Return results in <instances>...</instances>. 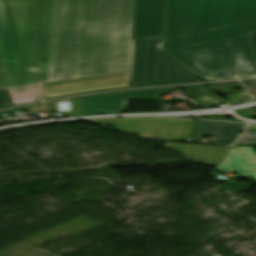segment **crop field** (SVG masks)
<instances>
[{"label": "crop field", "instance_id": "crop-field-7", "mask_svg": "<svg viewBox=\"0 0 256 256\" xmlns=\"http://www.w3.org/2000/svg\"><path fill=\"white\" fill-rule=\"evenodd\" d=\"M246 124L224 123L216 121H198L190 142L201 143L202 136H222L220 145H233Z\"/></svg>", "mask_w": 256, "mask_h": 256}, {"label": "crop field", "instance_id": "crop-field-2", "mask_svg": "<svg viewBox=\"0 0 256 256\" xmlns=\"http://www.w3.org/2000/svg\"><path fill=\"white\" fill-rule=\"evenodd\" d=\"M255 31L256 0H168L164 49L200 78L255 74Z\"/></svg>", "mask_w": 256, "mask_h": 256}, {"label": "crop field", "instance_id": "crop-field-17", "mask_svg": "<svg viewBox=\"0 0 256 256\" xmlns=\"http://www.w3.org/2000/svg\"><path fill=\"white\" fill-rule=\"evenodd\" d=\"M60 102H70V100H68V101H60Z\"/></svg>", "mask_w": 256, "mask_h": 256}, {"label": "crop field", "instance_id": "crop-field-6", "mask_svg": "<svg viewBox=\"0 0 256 256\" xmlns=\"http://www.w3.org/2000/svg\"><path fill=\"white\" fill-rule=\"evenodd\" d=\"M165 0H136L133 39H163Z\"/></svg>", "mask_w": 256, "mask_h": 256}, {"label": "crop field", "instance_id": "crop-field-13", "mask_svg": "<svg viewBox=\"0 0 256 256\" xmlns=\"http://www.w3.org/2000/svg\"><path fill=\"white\" fill-rule=\"evenodd\" d=\"M226 97L228 98L226 101L229 103L252 99L246 92L227 95Z\"/></svg>", "mask_w": 256, "mask_h": 256}, {"label": "crop field", "instance_id": "crop-field-4", "mask_svg": "<svg viewBox=\"0 0 256 256\" xmlns=\"http://www.w3.org/2000/svg\"><path fill=\"white\" fill-rule=\"evenodd\" d=\"M95 124L121 125L120 131L134 133L145 138L188 141L193 120L176 119H114L91 120Z\"/></svg>", "mask_w": 256, "mask_h": 256}, {"label": "crop field", "instance_id": "crop-field-11", "mask_svg": "<svg viewBox=\"0 0 256 256\" xmlns=\"http://www.w3.org/2000/svg\"><path fill=\"white\" fill-rule=\"evenodd\" d=\"M256 144V126L249 125L236 145Z\"/></svg>", "mask_w": 256, "mask_h": 256}, {"label": "crop field", "instance_id": "crop-field-5", "mask_svg": "<svg viewBox=\"0 0 256 256\" xmlns=\"http://www.w3.org/2000/svg\"><path fill=\"white\" fill-rule=\"evenodd\" d=\"M168 90L158 89L77 99L78 116L124 112L127 99L158 100V95Z\"/></svg>", "mask_w": 256, "mask_h": 256}, {"label": "crop field", "instance_id": "crop-field-9", "mask_svg": "<svg viewBox=\"0 0 256 256\" xmlns=\"http://www.w3.org/2000/svg\"><path fill=\"white\" fill-rule=\"evenodd\" d=\"M166 147L184 154L186 157H194V162H201L203 164L217 166L221 157L226 154L229 148L214 147L194 144H174L167 142ZM183 155V156H184Z\"/></svg>", "mask_w": 256, "mask_h": 256}, {"label": "crop field", "instance_id": "crop-field-14", "mask_svg": "<svg viewBox=\"0 0 256 256\" xmlns=\"http://www.w3.org/2000/svg\"><path fill=\"white\" fill-rule=\"evenodd\" d=\"M12 100L8 90H0V107L11 105Z\"/></svg>", "mask_w": 256, "mask_h": 256}, {"label": "crop field", "instance_id": "crop-field-3", "mask_svg": "<svg viewBox=\"0 0 256 256\" xmlns=\"http://www.w3.org/2000/svg\"><path fill=\"white\" fill-rule=\"evenodd\" d=\"M162 42L133 40L130 87L198 81L162 53Z\"/></svg>", "mask_w": 256, "mask_h": 256}, {"label": "crop field", "instance_id": "crop-field-8", "mask_svg": "<svg viewBox=\"0 0 256 256\" xmlns=\"http://www.w3.org/2000/svg\"><path fill=\"white\" fill-rule=\"evenodd\" d=\"M217 170L223 173L253 175L256 178V151L253 147H233Z\"/></svg>", "mask_w": 256, "mask_h": 256}, {"label": "crop field", "instance_id": "crop-field-16", "mask_svg": "<svg viewBox=\"0 0 256 256\" xmlns=\"http://www.w3.org/2000/svg\"><path fill=\"white\" fill-rule=\"evenodd\" d=\"M251 38H252V42L255 48V52H256V32L255 33H251Z\"/></svg>", "mask_w": 256, "mask_h": 256}, {"label": "crop field", "instance_id": "crop-field-18", "mask_svg": "<svg viewBox=\"0 0 256 256\" xmlns=\"http://www.w3.org/2000/svg\"><path fill=\"white\" fill-rule=\"evenodd\" d=\"M188 72V71H187Z\"/></svg>", "mask_w": 256, "mask_h": 256}, {"label": "crop field", "instance_id": "crop-field-12", "mask_svg": "<svg viewBox=\"0 0 256 256\" xmlns=\"http://www.w3.org/2000/svg\"><path fill=\"white\" fill-rule=\"evenodd\" d=\"M237 77L250 78V77H256V75H244V74H240L237 70H233V71H231L230 73H228L226 75L204 78V79H207V80H226V79H234V78H237Z\"/></svg>", "mask_w": 256, "mask_h": 256}, {"label": "crop field", "instance_id": "crop-field-15", "mask_svg": "<svg viewBox=\"0 0 256 256\" xmlns=\"http://www.w3.org/2000/svg\"><path fill=\"white\" fill-rule=\"evenodd\" d=\"M254 111H256V108L240 110L239 112H241L245 118H250V117H256V113Z\"/></svg>", "mask_w": 256, "mask_h": 256}, {"label": "crop field", "instance_id": "crop-field-1", "mask_svg": "<svg viewBox=\"0 0 256 256\" xmlns=\"http://www.w3.org/2000/svg\"><path fill=\"white\" fill-rule=\"evenodd\" d=\"M135 0H0V89L130 69Z\"/></svg>", "mask_w": 256, "mask_h": 256}, {"label": "crop field", "instance_id": "crop-field-10", "mask_svg": "<svg viewBox=\"0 0 256 256\" xmlns=\"http://www.w3.org/2000/svg\"><path fill=\"white\" fill-rule=\"evenodd\" d=\"M188 91L189 96L194 98L195 102L202 106L225 103V100L205 86L188 87Z\"/></svg>", "mask_w": 256, "mask_h": 256}]
</instances>
